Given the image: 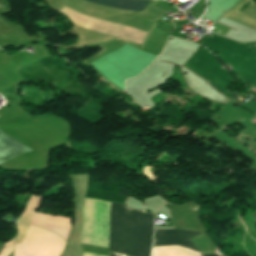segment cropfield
<instances>
[{
	"label": "crop field",
	"instance_id": "obj_1",
	"mask_svg": "<svg viewBox=\"0 0 256 256\" xmlns=\"http://www.w3.org/2000/svg\"><path fill=\"white\" fill-rule=\"evenodd\" d=\"M112 205H123L112 203ZM109 250L129 256H150L153 215L112 206Z\"/></svg>",
	"mask_w": 256,
	"mask_h": 256
},
{
	"label": "crop field",
	"instance_id": "obj_2",
	"mask_svg": "<svg viewBox=\"0 0 256 256\" xmlns=\"http://www.w3.org/2000/svg\"><path fill=\"white\" fill-rule=\"evenodd\" d=\"M199 233L182 231V230H163L155 231L154 246L163 245H180L188 249L200 252L195 245L190 241L194 236Z\"/></svg>",
	"mask_w": 256,
	"mask_h": 256
},
{
	"label": "crop field",
	"instance_id": "obj_3",
	"mask_svg": "<svg viewBox=\"0 0 256 256\" xmlns=\"http://www.w3.org/2000/svg\"><path fill=\"white\" fill-rule=\"evenodd\" d=\"M32 151L0 131V164L21 153Z\"/></svg>",
	"mask_w": 256,
	"mask_h": 256
},
{
	"label": "crop field",
	"instance_id": "obj_4",
	"mask_svg": "<svg viewBox=\"0 0 256 256\" xmlns=\"http://www.w3.org/2000/svg\"><path fill=\"white\" fill-rule=\"evenodd\" d=\"M92 3L112 6L120 9L141 11L150 1L145 0H87Z\"/></svg>",
	"mask_w": 256,
	"mask_h": 256
},
{
	"label": "crop field",
	"instance_id": "obj_5",
	"mask_svg": "<svg viewBox=\"0 0 256 256\" xmlns=\"http://www.w3.org/2000/svg\"><path fill=\"white\" fill-rule=\"evenodd\" d=\"M205 256H218L215 253L204 254ZM220 256V255H219Z\"/></svg>",
	"mask_w": 256,
	"mask_h": 256
}]
</instances>
